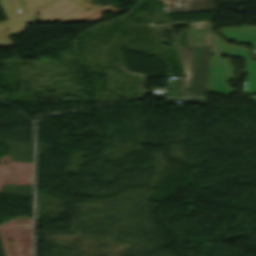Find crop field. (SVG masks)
<instances>
[{
  "instance_id": "obj_1",
  "label": "crop field",
  "mask_w": 256,
  "mask_h": 256,
  "mask_svg": "<svg viewBox=\"0 0 256 256\" xmlns=\"http://www.w3.org/2000/svg\"><path fill=\"white\" fill-rule=\"evenodd\" d=\"M228 41L235 40L236 44L251 43L256 59V27L241 26L236 29H224L220 32ZM218 34V33H217ZM209 73L208 92L232 93L226 82L233 78L234 68L230 67L228 60H221V54L245 58L246 64V95L256 92V62L250 59L248 49L224 43L216 34L212 36Z\"/></svg>"
},
{
  "instance_id": "obj_2",
  "label": "crop field",
  "mask_w": 256,
  "mask_h": 256,
  "mask_svg": "<svg viewBox=\"0 0 256 256\" xmlns=\"http://www.w3.org/2000/svg\"><path fill=\"white\" fill-rule=\"evenodd\" d=\"M179 48L187 78L168 83V89L172 96H204L207 85L209 46Z\"/></svg>"
},
{
  "instance_id": "obj_3",
  "label": "crop field",
  "mask_w": 256,
  "mask_h": 256,
  "mask_svg": "<svg viewBox=\"0 0 256 256\" xmlns=\"http://www.w3.org/2000/svg\"><path fill=\"white\" fill-rule=\"evenodd\" d=\"M168 13L212 10L213 0H164Z\"/></svg>"
},
{
  "instance_id": "obj_4",
  "label": "crop field",
  "mask_w": 256,
  "mask_h": 256,
  "mask_svg": "<svg viewBox=\"0 0 256 256\" xmlns=\"http://www.w3.org/2000/svg\"><path fill=\"white\" fill-rule=\"evenodd\" d=\"M211 28L188 30L187 45H209Z\"/></svg>"
},
{
  "instance_id": "obj_5",
  "label": "crop field",
  "mask_w": 256,
  "mask_h": 256,
  "mask_svg": "<svg viewBox=\"0 0 256 256\" xmlns=\"http://www.w3.org/2000/svg\"><path fill=\"white\" fill-rule=\"evenodd\" d=\"M87 2L91 3L90 0H86ZM104 11H109L112 12L113 14L115 13H119V12H123L111 5L105 6L100 8L99 10H97L95 13L101 15ZM102 18L101 16H97V17H90V18H83V19H77V20H70V21H63V22H71V21H96L98 19Z\"/></svg>"
},
{
  "instance_id": "obj_6",
  "label": "crop field",
  "mask_w": 256,
  "mask_h": 256,
  "mask_svg": "<svg viewBox=\"0 0 256 256\" xmlns=\"http://www.w3.org/2000/svg\"><path fill=\"white\" fill-rule=\"evenodd\" d=\"M206 98H182V103L205 104Z\"/></svg>"
},
{
  "instance_id": "obj_7",
  "label": "crop field",
  "mask_w": 256,
  "mask_h": 256,
  "mask_svg": "<svg viewBox=\"0 0 256 256\" xmlns=\"http://www.w3.org/2000/svg\"><path fill=\"white\" fill-rule=\"evenodd\" d=\"M34 21H40V19H39V17H38L36 12H34V19H33L32 22H34Z\"/></svg>"
}]
</instances>
